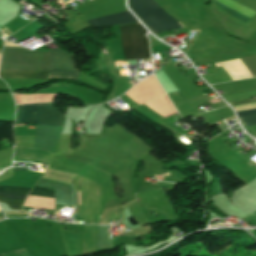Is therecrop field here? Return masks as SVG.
I'll list each match as a JSON object with an SVG mask.
<instances>
[{"label":"crop field","mask_w":256,"mask_h":256,"mask_svg":"<svg viewBox=\"0 0 256 256\" xmlns=\"http://www.w3.org/2000/svg\"><path fill=\"white\" fill-rule=\"evenodd\" d=\"M4 46L19 47L8 42ZM47 62L48 53L4 47L0 69L47 72ZM0 77L12 80H47V73L0 70Z\"/></svg>","instance_id":"obj_1"},{"label":"crop field","mask_w":256,"mask_h":256,"mask_svg":"<svg viewBox=\"0 0 256 256\" xmlns=\"http://www.w3.org/2000/svg\"><path fill=\"white\" fill-rule=\"evenodd\" d=\"M129 6L154 33L183 28L153 0H129Z\"/></svg>","instance_id":"obj_2"},{"label":"crop field","mask_w":256,"mask_h":256,"mask_svg":"<svg viewBox=\"0 0 256 256\" xmlns=\"http://www.w3.org/2000/svg\"><path fill=\"white\" fill-rule=\"evenodd\" d=\"M125 61L150 57L146 31L140 24L118 26Z\"/></svg>","instance_id":"obj_3"},{"label":"crop field","mask_w":256,"mask_h":256,"mask_svg":"<svg viewBox=\"0 0 256 256\" xmlns=\"http://www.w3.org/2000/svg\"><path fill=\"white\" fill-rule=\"evenodd\" d=\"M64 115L52 107V103L18 106L17 121L20 124L62 126ZM23 126V125H21Z\"/></svg>","instance_id":"obj_4"},{"label":"crop field","mask_w":256,"mask_h":256,"mask_svg":"<svg viewBox=\"0 0 256 256\" xmlns=\"http://www.w3.org/2000/svg\"><path fill=\"white\" fill-rule=\"evenodd\" d=\"M73 55L65 52L49 53L48 80L53 77L77 79Z\"/></svg>","instance_id":"obj_5"},{"label":"crop field","mask_w":256,"mask_h":256,"mask_svg":"<svg viewBox=\"0 0 256 256\" xmlns=\"http://www.w3.org/2000/svg\"><path fill=\"white\" fill-rule=\"evenodd\" d=\"M92 28L104 27L109 25L128 24L137 22L129 11L119 12L91 20H87Z\"/></svg>","instance_id":"obj_6"},{"label":"crop field","mask_w":256,"mask_h":256,"mask_svg":"<svg viewBox=\"0 0 256 256\" xmlns=\"http://www.w3.org/2000/svg\"><path fill=\"white\" fill-rule=\"evenodd\" d=\"M31 189L18 187H0V192L17 193L27 195ZM24 195L0 194V202H4L9 208L20 210L25 200Z\"/></svg>","instance_id":"obj_7"},{"label":"crop field","mask_w":256,"mask_h":256,"mask_svg":"<svg viewBox=\"0 0 256 256\" xmlns=\"http://www.w3.org/2000/svg\"><path fill=\"white\" fill-rule=\"evenodd\" d=\"M216 1L224 4V5L232 8V9H234V10H236V11H238V12H240V13L248 16V17H250V18L253 15L256 14V11H254V10H252V9L242 5V4H239V3H237V2H235L233 0H216ZM216 1H215V4H217L219 7H221L222 9H224L225 11H227L228 13L233 15L235 18H237V19H239V20H241V21H243L245 23H247L250 20V18H248V17H246V16H244V15H242V14H240V13H238V12H236V11H234V10H232V9H230V8L224 6V5H222V4H220V3L216 2Z\"/></svg>","instance_id":"obj_8"},{"label":"crop field","mask_w":256,"mask_h":256,"mask_svg":"<svg viewBox=\"0 0 256 256\" xmlns=\"http://www.w3.org/2000/svg\"><path fill=\"white\" fill-rule=\"evenodd\" d=\"M37 185L53 188L56 191V204H69L73 205V192L72 187L52 183L44 180H39Z\"/></svg>","instance_id":"obj_9"},{"label":"crop field","mask_w":256,"mask_h":256,"mask_svg":"<svg viewBox=\"0 0 256 256\" xmlns=\"http://www.w3.org/2000/svg\"><path fill=\"white\" fill-rule=\"evenodd\" d=\"M107 227L108 226H98L97 249L112 247L111 238H109V234L107 233Z\"/></svg>","instance_id":"obj_10"},{"label":"crop field","mask_w":256,"mask_h":256,"mask_svg":"<svg viewBox=\"0 0 256 256\" xmlns=\"http://www.w3.org/2000/svg\"><path fill=\"white\" fill-rule=\"evenodd\" d=\"M30 194L54 198L53 190H49V189H45V188H41V187H37V186L34 187V189L30 192Z\"/></svg>","instance_id":"obj_11"},{"label":"crop field","mask_w":256,"mask_h":256,"mask_svg":"<svg viewBox=\"0 0 256 256\" xmlns=\"http://www.w3.org/2000/svg\"><path fill=\"white\" fill-rule=\"evenodd\" d=\"M240 119L245 124V126L255 125L256 124V115L248 116V117H242Z\"/></svg>","instance_id":"obj_12"},{"label":"crop field","mask_w":256,"mask_h":256,"mask_svg":"<svg viewBox=\"0 0 256 256\" xmlns=\"http://www.w3.org/2000/svg\"><path fill=\"white\" fill-rule=\"evenodd\" d=\"M236 114L238 117L254 115V114H256V108L250 109V110L238 111V112H236Z\"/></svg>","instance_id":"obj_13"},{"label":"crop field","mask_w":256,"mask_h":256,"mask_svg":"<svg viewBox=\"0 0 256 256\" xmlns=\"http://www.w3.org/2000/svg\"><path fill=\"white\" fill-rule=\"evenodd\" d=\"M212 103H215V102H219L220 100L218 98H215V99H211L210 100Z\"/></svg>","instance_id":"obj_14"},{"label":"crop field","mask_w":256,"mask_h":256,"mask_svg":"<svg viewBox=\"0 0 256 256\" xmlns=\"http://www.w3.org/2000/svg\"><path fill=\"white\" fill-rule=\"evenodd\" d=\"M79 204H82L80 192H78Z\"/></svg>","instance_id":"obj_15"},{"label":"crop field","mask_w":256,"mask_h":256,"mask_svg":"<svg viewBox=\"0 0 256 256\" xmlns=\"http://www.w3.org/2000/svg\"><path fill=\"white\" fill-rule=\"evenodd\" d=\"M0 256H4L3 254H1Z\"/></svg>","instance_id":"obj_16"}]
</instances>
